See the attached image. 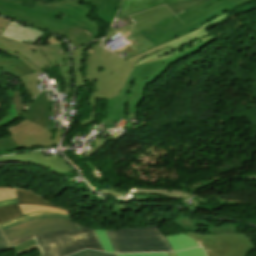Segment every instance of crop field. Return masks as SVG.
I'll return each mask as SVG.
<instances>
[{
	"mask_svg": "<svg viewBox=\"0 0 256 256\" xmlns=\"http://www.w3.org/2000/svg\"><path fill=\"white\" fill-rule=\"evenodd\" d=\"M18 191V200L19 204H34L39 206H46L51 208H57L66 210L69 212L68 209L53 206L49 203H47L45 200H43L39 195L32 193L31 191L23 190V189H17Z\"/></svg>",
	"mask_w": 256,
	"mask_h": 256,
	"instance_id": "obj_19",
	"label": "crop field"
},
{
	"mask_svg": "<svg viewBox=\"0 0 256 256\" xmlns=\"http://www.w3.org/2000/svg\"><path fill=\"white\" fill-rule=\"evenodd\" d=\"M10 249V246L0 230V251Z\"/></svg>",
	"mask_w": 256,
	"mask_h": 256,
	"instance_id": "obj_35",
	"label": "crop field"
},
{
	"mask_svg": "<svg viewBox=\"0 0 256 256\" xmlns=\"http://www.w3.org/2000/svg\"><path fill=\"white\" fill-rule=\"evenodd\" d=\"M36 99L28 107V111H25L23 118L46 129L49 118V100L45 91L41 92Z\"/></svg>",
	"mask_w": 256,
	"mask_h": 256,
	"instance_id": "obj_14",
	"label": "crop field"
},
{
	"mask_svg": "<svg viewBox=\"0 0 256 256\" xmlns=\"http://www.w3.org/2000/svg\"><path fill=\"white\" fill-rule=\"evenodd\" d=\"M17 203L16 199L8 200V201H2L0 202V206L9 205V204H15Z\"/></svg>",
	"mask_w": 256,
	"mask_h": 256,
	"instance_id": "obj_39",
	"label": "crop field"
},
{
	"mask_svg": "<svg viewBox=\"0 0 256 256\" xmlns=\"http://www.w3.org/2000/svg\"><path fill=\"white\" fill-rule=\"evenodd\" d=\"M65 228H76L74 221L58 219V218H48L39 219L25 224H21L4 231L7 239H14L29 234L52 230V229H65Z\"/></svg>",
	"mask_w": 256,
	"mask_h": 256,
	"instance_id": "obj_11",
	"label": "crop field"
},
{
	"mask_svg": "<svg viewBox=\"0 0 256 256\" xmlns=\"http://www.w3.org/2000/svg\"><path fill=\"white\" fill-rule=\"evenodd\" d=\"M97 8V16L111 24V21L119 7L120 0H81Z\"/></svg>",
	"mask_w": 256,
	"mask_h": 256,
	"instance_id": "obj_16",
	"label": "crop field"
},
{
	"mask_svg": "<svg viewBox=\"0 0 256 256\" xmlns=\"http://www.w3.org/2000/svg\"><path fill=\"white\" fill-rule=\"evenodd\" d=\"M115 252H174L157 226L105 231Z\"/></svg>",
	"mask_w": 256,
	"mask_h": 256,
	"instance_id": "obj_6",
	"label": "crop field"
},
{
	"mask_svg": "<svg viewBox=\"0 0 256 256\" xmlns=\"http://www.w3.org/2000/svg\"><path fill=\"white\" fill-rule=\"evenodd\" d=\"M10 135L19 147H51L54 133L29 121H23L9 129ZM51 140V142H49Z\"/></svg>",
	"mask_w": 256,
	"mask_h": 256,
	"instance_id": "obj_9",
	"label": "crop field"
},
{
	"mask_svg": "<svg viewBox=\"0 0 256 256\" xmlns=\"http://www.w3.org/2000/svg\"><path fill=\"white\" fill-rule=\"evenodd\" d=\"M178 256H206L202 248L177 253Z\"/></svg>",
	"mask_w": 256,
	"mask_h": 256,
	"instance_id": "obj_32",
	"label": "crop field"
},
{
	"mask_svg": "<svg viewBox=\"0 0 256 256\" xmlns=\"http://www.w3.org/2000/svg\"><path fill=\"white\" fill-rule=\"evenodd\" d=\"M174 251L184 250L199 246L195 241L184 234L166 236Z\"/></svg>",
	"mask_w": 256,
	"mask_h": 256,
	"instance_id": "obj_20",
	"label": "crop field"
},
{
	"mask_svg": "<svg viewBox=\"0 0 256 256\" xmlns=\"http://www.w3.org/2000/svg\"><path fill=\"white\" fill-rule=\"evenodd\" d=\"M41 72L45 73V71H40V72H37V73H41ZM34 74H36V73H34ZM19 79L25 85V89H26L30 99L32 100L33 98H35L39 91L36 87L37 84H36V81L34 79L33 74L21 77ZM29 83H31V85H29Z\"/></svg>",
	"mask_w": 256,
	"mask_h": 256,
	"instance_id": "obj_23",
	"label": "crop field"
},
{
	"mask_svg": "<svg viewBox=\"0 0 256 256\" xmlns=\"http://www.w3.org/2000/svg\"><path fill=\"white\" fill-rule=\"evenodd\" d=\"M16 198L15 188L0 187V201Z\"/></svg>",
	"mask_w": 256,
	"mask_h": 256,
	"instance_id": "obj_29",
	"label": "crop field"
},
{
	"mask_svg": "<svg viewBox=\"0 0 256 256\" xmlns=\"http://www.w3.org/2000/svg\"><path fill=\"white\" fill-rule=\"evenodd\" d=\"M0 68H3L7 73L14 77H21L32 73V69L22 63L15 57L7 59L0 56ZM24 68V69H23Z\"/></svg>",
	"mask_w": 256,
	"mask_h": 256,
	"instance_id": "obj_17",
	"label": "crop field"
},
{
	"mask_svg": "<svg viewBox=\"0 0 256 256\" xmlns=\"http://www.w3.org/2000/svg\"><path fill=\"white\" fill-rule=\"evenodd\" d=\"M188 235L193 237L204 247L208 256H247L251 250L256 248L243 233L224 235Z\"/></svg>",
	"mask_w": 256,
	"mask_h": 256,
	"instance_id": "obj_7",
	"label": "crop field"
},
{
	"mask_svg": "<svg viewBox=\"0 0 256 256\" xmlns=\"http://www.w3.org/2000/svg\"><path fill=\"white\" fill-rule=\"evenodd\" d=\"M117 256H167L166 253H131V254H116Z\"/></svg>",
	"mask_w": 256,
	"mask_h": 256,
	"instance_id": "obj_34",
	"label": "crop field"
},
{
	"mask_svg": "<svg viewBox=\"0 0 256 256\" xmlns=\"http://www.w3.org/2000/svg\"><path fill=\"white\" fill-rule=\"evenodd\" d=\"M69 68L70 65L59 66L60 76L65 79L66 87H71Z\"/></svg>",
	"mask_w": 256,
	"mask_h": 256,
	"instance_id": "obj_30",
	"label": "crop field"
},
{
	"mask_svg": "<svg viewBox=\"0 0 256 256\" xmlns=\"http://www.w3.org/2000/svg\"><path fill=\"white\" fill-rule=\"evenodd\" d=\"M9 25H12V26L17 27L18 23H15V22L10 21V22H9Z\"/></svg>",
	"mask_w": 256,
	"mask_h": 256,
	"instance_id": "obj_41",
	"label": "crop field"
},
{
	"mask_svg": "<svg viewBox=\"0 0 256 256\" xmlns=\"http://www.w3.org/2000/svg\"><path fill=\"white\" fill-rule=\"evenodd\" d=\"M127 40V45L114 51V53L118 55L125 51L128 52L129 54L125 56L127 60L132 56L146 52L154 47V45H152L139 33L127 38Z\"/></svg>",
	"mask_w": 256,
	"mask_h": 256,
	"instance_id": "obj_15",
	"label": "crop field"
},
{
	"mask_svg": "<svg viewBox=\"0 0 256 256\" xmlns=\"http://www.w3.org/2000/svg\"><path fill=\"white\" fill-rule=\"evenodd\" d=\"M19 149L10 136L0 139V151Z\"/></svg>",
	"mask_w": 256,
	"mask_h": 256,
	"instance_id": "obj_28",
	"label": "crop field"
},
{
	"mask_svg": "<svg viewBox=\"0 0 256 256\" xmlns=\"http://www.w3.org/2000/svg\"><path fill=\"white\" fill-rule=\"evenodd\" d=\"M21 215L17 204L0 207V223Z\"/></svg>",
	"mask_w": 256,
	"mask_h": 256,
	"instance_id": "obj_24",
	"label": "crop field"
},
{
	"mask_svg": "<svg viewBox=\"0 0 256 256\" xmlns=\"http://www.w3.org/2000/svg\"><path fill=\"white\" fill-rule=\"evenodd\" d=\"M33 245H35V242L32 239V240H30L28 242H25L23 244H20V245L14 247L13 249H14V251L18 252L20 250H23V249L28 248V247L33 246Z\"/></svg>",
	"mask_w": 256,
	"mask_h": 256,
	"instance_id": "obj_36",
	"label": "crop field"
},
{
	"mask_svg": "<svg viewBox=\"0 0 256 256\" xmlns=\"http://www.w3.org/2000/svg\"><path fill=\"white\" fill-rule=\"evenodd\" d=\"M236 8L230 0H206L177 14L185 26L166 6L132 15L129 18L138 32L157 46Z\"/></svg>",
	"mask_w": 256,
	"mask_h": 256,
	"instance_id": "obj_2",
	"label": "crop field"
},
{
	"mask_svg": "<svg viewBox=\"0 0 256 256\" xmlns=\"http://www.w3.org/2000/svg\"><path fill=\"white\" fill-rule=\"evenodd\" d=\"M77 227L78 229L42 232L10 240L9 242L12 247H14L34 238L41 256H65L85 248H93L103 251L93 229L81 225H77Z\"/></svg>",
	"mask_w": 256,
	"mask_h": 256,
	"instance_id": "obj_5",
	"label": "crop field"
},
{
	"mask_svg": "<svg viewBox=\"0 0 256 256\" xmlns=\"http://www.w3.org/2000/svg\"><path fill=\"white\" fill-rule=\"evenodd\" d=\"M8 22H9V20L3 19L0 17V34L3 31V29L6 27Z\"/></svg>",
	"mask_w": 256,
	"mask_h": 256,
	"instance_id": "obj_38",
	"label": "crop field"
},
{
	"mask_svg": "<svg viewBox=\"0 0 256 256\" xmlns=\"http://www.w3.org/2000/svg\"><path fill=\"white\" fill-rule=\"evenodd\" d=\"M19 5V2L12 0H0V14L11 17L17 11L36 19L75 25L87 32L93 40L99 34L100 27L88 18L94 10L89 5H82L78 0H62L48 4L38 3L35 10Z\"/></svg>",
	"mask_w": 256,
	"mask_h": 256,
	"instance_id": "obj_3",
	"label": "crop field"
},
{
	"mask_svg": "<svg viewBox=\"0 0 256 256\" xmlns=\"http://www.w3.org/2000/svg\"><path fill=\"white\" fill-rule=\"evenodd\" d=\"M12 18H15L17 20L57 33L67 38L75 47L93 41L88 34H86L83 30L75 26L36 20V19L25 17L16 12L12 16Z\"/></svg>",
	"mask_w": 256,
	"mask_h": 256,
	"instance_id": "obj_10",
	"label": "crop field"
},
{
	"mask_svg": "<svg viewBox=\"0 0 256 256\" xmlns=\"http://www.w3.org/2000/svg\"><path fill=\"white\" fill-rule=\"evenodd\" d=\"M34 249H37V246H36V245L33 246V247H30V248H28V249H25V250H23V251H20V252H18L17 254L20 255V254L26 253V252L31 251V250H34Z\"/></svg>",
	"mask_w": 256,
	"mask_h": 256,
	"instance_id": "obj_40",
	"label": "crop field"
},
{
	"mask_svg": "<svg viewBox=\"0 0 256 256\" xmlns=\"http://www.w3.org/2000/svg\"><path fill=\"white\" fill-rule=\"evenodd\" d=\"M99 192L110 196H116L120 198H141V199H176V198H186L180 195L179 191L172 190H150V189H130L126 196L120 195L118 192H113L100 188Z\"/></svg>",
	"mask_w": 256,
	"mask_h": 256,
	"instance_id": "obj_13",
	"label": "crop field"
},
{
	"mask_svg": "<svg viewBox=\"0 0 256 256\" xmlns=\"http://www.w3.org/2000/svg\"><path fill=\"white\" fill-rule=\"evenodd\" d=\"M70 256H116L115 254H106L102 252H97L93 250H84L81 252H78L76 254L70 255Z\"/></svg>",
	"mask_w": 256,
	"mask_h": 256,
	"instance_id": "obj_31",
	"label": "crop field"
},
{
	"mask_svg": "<svg viewBox=\"0 0 256 256\" xmlns=\"http://www.w3.org/2000/svg\"><path fill=\"white\" fill-rule=\"evenodd\" d=\"M230 13L128 61L99 47L102 40L73 50L76 89L84 85H94L88 102L93 112L88 120H81L80 126L92 122L97 98L108 99L109 102L105 130L112 129L115 120L125 118L126 112L136 113L147 83H152L170 64L181 61L212 42L215 37L204 28L230 16Z\"/></svg>",
	"mask_w": 256,
	"mask_h": 256,
	"instance_id": "obj_1",
	"label": "crop field"
},
{
	"mask_svg": "<svg viewBox=\"0 0 256 256\" xmlns=\"http://www.w3.org/2000/svg\"><path fill=\"white\" fill-rule=\"evenodd\" d=\"M63 132L62 131H57L54 138H53V143H52V147H57L58 142L60 140V138L62 137Z\"/></svg>",
	"mask_w": 256,
	"mask_h": 256,
	"instance_id": "obj_37",
	"label": "crop field"
},
{
	"mask_svg": "<svg viewBox=\"0 0 256 256\" xmlns=\"http://www.w3.org/2000/svg\"><path fill=\"white\" fill-rule=\"evenodd\" d=\"M99 240H100V243L104 249L105 252H110V253H114L105 233H104V230H95Z\"/></svg>",
	"mask_w": 256,
	"mask_h": 256,
	"instance_id": "obj_27",
	"label": "crop field"
},
{
	"mask_svg": "<svg viewBox=\"0 0 256 256\" xmlns=\"http://www.w3.org/2000/svg\"><path fill=\"white\" fill-rule=\"evenodd\" d=\"M44 34L21 24L17 28L7 25L0 35V51L17 57L35 72L55 67L46 45L33 46Z\"/></svg>",
	"mask_w": 256,
	"mask_h": 256,
	"instance_id": "obj_4",
	"label": "crop field"
},
{
	"mask_svg": "<svg viewBox=\"0 0 256 256\" xmlns=\"http://www.w3.org/2000/svg\"><path fill=\"white\" fill-rule=\"evenodd\" d=\"M48 217H58V218H65V219H71V216L64 215L62 213H57V212H37V213H31L24 215L20 218H17L13 221L6 222L3 224H0L1 230H5L7 228L13 227L15 225L25 223L31 220L39 219V218H48ZM72 220V219H71Z\"/></svg>",
	"mask_w": 256,
	"mask_h": 256,
	"instance_id": "obj_18",
	"label": "crop field"
},
{
	"mask_svg": "<svg viewBox=\"0 0 256 256\" xmlns=\"http://www.w3.org/2000/svg\"><path fill=\"white\" fill-rule=\"evenodd\" d=\"M120 132V131H119ZM118 132V133H119ZM116 135V134H115ZM113 139H115V138H109V136L108 137H106L104 140H102V141H100V140H98V139H96L95 140V142H94V147H96V149H95V152L97 151V150H99L100 148H102V147H105L106 146V143L108 142V141H110V140H113ZM94 152V153H95ZM86 156H88V157H91L93 154L92 153H86L85 154Z\"/></svg>",
	"mask_w": 256,
	"mask_h": 256,
	"instance_id": "obj_33",
	"label": "crop field"
},
{
	"mask_svg": "<svg viewBox=\"0 0 256 256\" xmlns=\"http://www.w3.org/2000/svg\"><path fill=\"white\" fill-rule=\"evenodd\" d=\"M20 90H21V85H17V88L15 89L14 97H13V100H12V102L14 103V105L18 109L17 115L14 118H12L10 121H8L5 124L1 125L0 128L5 126L6 124L12 122L17 117L22 118V116L24 114V111H22V107L27 106L28 102L25 101V99L22 96L23 94L20 92Z\"/></svg>",
	"mask_w": 256,
	"mask_h": 256,
	"instance_id": "obj_22",
	"label": "crop field"
},
{
	"mask_svg": "<svg viewBox=\"0 0 256 256\" xmlns=\"http://www.w3.org/2000/svg\"><path fill=\"white\" fill-rule=\"evenodd\" d=\"M57 65L70 64L67 49H61L60 44L47 45Z\"/></svg>",
	"mask_w": 256,
	"mask_h": 256,
	"instance_id": "obj_21",
	"label": "crop field"
},
{
	"mask_svg": "<svg viewBox=\"0 0 256 256\" xmlns=\"http://www.w3.org/2000/svg\"><path fill=\"white\" fill-rule=\"evenodd\" d=\"M204 0H124L123 5L117 15L121 18L137 12H141L159 5L168 6L173 13L177 14L191 6H194ZM237 6L253 0H231Z\"/></svg>",
	"mask_w": 256,
	"mask_h": 256,
	"instance_id": "obj_8",
	"label": "crop field"
},
{
	"mask_svg": "<svg viewBox=\"0 0 256 256\" xmlns=\"http://www.w3.org/2000/svg\"><path fill=\"white\" fill-rule=\"evenodd\" d=\"M21 208V211L23 214L31 213V212H37V211H57V212H62L64 214L70 215V213L61 211V210H56V209H51V208H46V207H39V206H34V205H19Z\"/></svg>",
	"mask_w": 256,
	"mask_h": 256,
	"instance_id": "obj_25",
	"label": "crop field"
},
{
	"mask_svg": "<svg viewBox=\"0 0 256 256\" xmlns=\"http://www.w3.org/2000/svg\"><path fill=\"white\" fill-rule=\"evenodd\" d=\"M10 162H18V163H30L37 164L48 168L51 172L60 174L63 172L74 171V169L69 166L61 156L56 158L48 157L46 158L40 152H30V153H21L15 154L6 157H0L1 163H10Z\"/></svg>",
	"mask_w": 256,
	"mask_h": 256,
	"instance_id": "obj_12",
	"label": "crop field"
},
{
	"mask_svg": "<svg viewBox=\"0 0 256 256\" xmlns=\"http://www.w3.org/2000/svg\"><path fill=\"white\" fill-rule=\"evenodd\" d=\"M169 256H176L175 253H168Z\"/></svg>",
	"mask_w": 256,
	"mask_h": 256,
	"instance_id": "obj_42",
	"label": "crop field"
},
{
	"mask_svg": "<svg viewBox=\"0 0 256 256\" xmlns=\"http://www.w3.org/2000/svg\"><path fill=\"white\" fill-rule=\"evenodd\" d=\"M123 30H126L128 33H125L123 32ZM120 33L122 36H124L125 38L137 33V30L135 29V27L133 26V24L131 25H128V26H125V27H122V28H119V29H116V30H113V31H110L108 32L107 36L105 39L115 35L116 33Z\"/></svg>",
	"mask_w": 256,
	"mask_h": 256,
	"instance_id": "obj_26",
	"label": "crop field"
}]
</instances>
